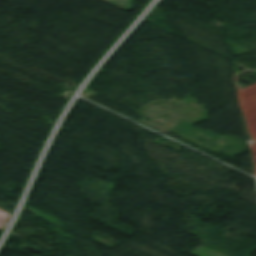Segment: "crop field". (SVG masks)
<instances>
[{
  "mask_svg": "<svg viewBox=\"0 0 256 256\" xmlns=\"http://www.w3.org/2000/svg\"><path fill=\"white\" fill-rule=\"evenodd\" d=\"M110 5H113L117 8H120L124 11H132L133 8V0H102ZM125 3V4H122Z\"/></svg>",
  "mask_w": 256,
  "mask_h": 256,
  "instance_id": "crop-field-1",
  "label": "crop field"
}]
</instances>
